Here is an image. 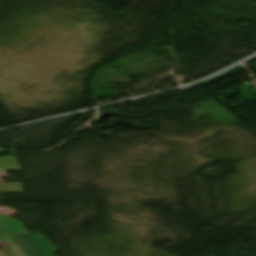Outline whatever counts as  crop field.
I'll list each match as a JSON object with an SVG mask.
<instances>
[{
    "instance_id": "8a807250",
    "label": "crop field",
    "mask_w": 256,
    "mask_h": 256,
    "mask_svg": "<svg viewBox=\"0 0 256 256\" xmlns=\"http://www.w3.org/2000/svg\"><path fill=\"white\" fill-rule=\"evenodd\" d=\"M27 256H54L58 249L40 233L11 238Z\"/></svg>"
},
{
    "instance_id": "ac0d7876",
    "label": "crop field",
    "mask_w": 256,
    "mask_h": 256,
    "mask_svg": "<svg viewBox=\"0 0 256 256\" xmlns=\"http://www.w3.org/2000/svg\"><path fill=\"white\" fill-rule=\"evenodd\" d=\"M24 224L4 215L0 214V229L6 231L11 237L30 234Z\"/></svg>"
},
{
    "instance_id": "34b2d1b8",
    "label": "crop field",
    "mask_w": 256,
    "mask_h": 256,
    "mask_svg": "<svg viewBox=\"0 0 256 256\" xmlns=\"http://www.w3.org/2000/svg\"><path fill=\"white\" fill-rule=\"evenodd\" d=\"M0 246L9 256H26V254L2 230H0Z\"/></svg>"
},
{
    "instance_id": "412701ff",
    "label": "crop field",
    "mask_w": 256,
    "mask_h": 256,
    "mask_svg": "<svg viewBox=\"0 0 256 256\" xmlns=\"http://www.w3.org/2000/svg\"><path fill=\"white\" fill-rule=\"evenodd\" d=\"M22 170L16 157L0 158V171Z\"/></svg>"
},
{
    "instance_id": "f4fd0767",
    "label": "crop field",
    "mask_w": 256,
    "mask_h": 256,
    "mask_svg": "<svg viewBox=\"0 0 256 256\" xmlns=\"http://www.w3.org/2000/svg\"><path fill=\"white\" fill-rule=\"evenodd\" d=\"M0 193H23L22 183L0 184Z\"/></svg>"
},
{
    "instance_id": "dd49c442",
    "label": "crop field",
    "mask_w": 256,
    "mask_h": 256,
    "mask_svg": "<svg viewBox=\"0 0 256 256\" xmlns=\"http://www.w3.org/2000/svg\"><path fill=\"white\" fill-rule=\"evenodd\" d=\"M0 256H6V255L0 250Z\"/></svg>"
},
{
    "instance_id": "e52e79f7",
    "label": "crop field",
    "mask_w": 256,
    "mask_h": 256,
    "mask_svg": "<svg viewBox=\"0 0 256 256\" xmlns=\"http://www.w3.org/2000/svg\"><path fill=\"white\" fill-rule=\"evenodd\" d=\"M0 151H4V150L0 148Z\"/></svg>"
}]
</instances>
